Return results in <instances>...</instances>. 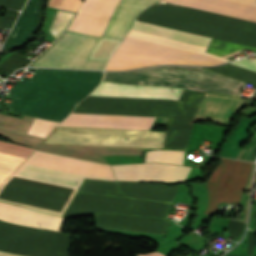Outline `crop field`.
<instances>
[{
    "instance_id": "1",
    "label": "crop field",
    "mask_w": 256,
    "mask_h": 256,
    "mask_svg": "<svg viewBox=\"0 0 256 256\" xmlns=\"http://www.w3.org/2000/svg\"><path fill=\"white\" fill-rule=\"evenodd\" d=\"M191 52L202 53L222 61H230L205 52L211 38L135 21L127 35ZM125 37L121 46L108 61L106 70H130L160 64L219 65L220 60L142 40Z\"/></svg>"
},
{
    "instance_id": "2",
    "label": "crop field",
    "mask_w": 256,
    "mask_h": 256,
    "mask_svg": "<svg viewBox=\"0 0 256 256\" xmlns=\"http://www.w3.org/2000/svg\"><path fill=\"white\" fill-rule=\"evenodd\" d=\"M103 72L42 69L22 80L9 95L10 111L61 121L100 82Z\"/></svg>"
},
{
    "instance_id": "3",
    "label": "crop field",
    "mask_w": 256,
    "mask_h": 256,
    "mask_svg": "<svg viewBox=\"0 0 256 256\" xmlns=\"http://www.w3.org/2000/svg\"><path fill=\"white\" fill-rule=\"evenodd\" d=\"M103 80L125 84L166 85L235 95L242 82L201 68L159 67L132 72L106 73Z\"/></svg>"
},
{
    "instance_id": "4",
    "label": "crop field",
    "mask_w": 256,
    "mask_h": 256,
    "mask_svg": "<svg viewBox=\"0 0 256 256\" xmlns=\"http://www.w3.org/2000/svg\"><path fill=\"white\" fill-rule=\"evenodd\" d=\"M12 175L76 189L84 178L114 181L110 166L38 151Z\"/></svg>"
},
{
    "instance_id": "5",
    "label": "crop field",
    "mask_w": 256,
    "mask_h": 256,
    "mask_svg": "<svg viewBox=\"0 0 256 256\" xmlns=\"http://www.w3.org/2000/svg\"><path fill=\"white\" fill-rule=\"evenodd\" d=\"M166 132L56 127L43 143L163 149Z\"/></svg>"
},
{
    "instance_id": "6",
    "label": "crop field",
    "mask_w": 256,
    "mask_h": 256,
    "mask_svg": "<svg viewBox=\"0 0 256 256\" xmlns=\"http://www.w3.org/2000/svg\"><path fill=\"white\" fill-rule=\"evenodd\" d=\"M70 235L0 221V251L25 256H69Z\"/></svg>"
},
{
    "instance_id": "7",
    "label": "crop field",
    "mask_w": 256,
    "mask_h": 256,
    "mask_svg": "<svg viewBox=\"0 0 256 256\" xmlns=\"http://www.w3.org/2000/svg\"><path fill=\"white\" fill-rule=\"evenodd\" d=\"M99 37L67 31L32 66L103 70L106 61L89 59Z\"/></svg>"
},
{
    "instance_id": "8",
    "label": "crop field",
    "mask_w": 256,
    "mask_h": 256,
    "mask_svg": "<svg viewBox=\"0 0 256 256\" xmlns=\"http://www.w3.org/2000/svg\"><path fill=\"white\" fill-rule=\"evenodd\" d=\"M253 163L221 158L207 183L209 204L205 214H214L221 205H238Z\"/></svg>"
},
{
    "instance_id": "9",
    "label": "crop field",
    "mask_w": 256,
    "mask_h": 256,
    "mask_svg": "<svg viewBox=\"0 0 256 256\" xmlns=\"http://www.w3.org/2000/svg\"><path fill=\"white\" fill-rule=\"evenodd\" d=\"M169 206L150 201L125 200L77 193L64 216L109 213L166 219Z\"/></svg>"
},
{
    "instance_id": "10",
    "label": "crop field",
    "mask_w": 256,
    "mask_h": 256,
    "mask_svg": "<svg viewBox=\"0 0 256 256\" xmlns=\"http://www.w3.org/2000/svg\"><path fill=\"white\" fill-rule=\"evenodd\" d=\"M117 180L184 181L191 168L168 164L111 165Z\"/></svg>"
},
{
    "instance_id": "11",
    "label": "crop field",
    "mask_w": 256,
    "mask_h": 256,
    "mask_svg": "<svg viewBox=\"0 0 256 256\" xmlns=\"http://www.w3.org/2000/svg\"><path fill=\"white\" fill-rule=\"evenodd\" d=\"M120 0H86L67 30L101 36Z\"/></svg>"
},
{
    "instance_id": "12",
    "label": "crop field",
    "mask_w": 256,
    "mask_h": 256,
    "mask_svg": "<svg viewBox=\"0 0 256 256\" xmlns=\"http://www.w3.org/2000/svg\"><path fill=\"white\" fill-rule=\"evenodd\" d=\"M155 118L71 113L59 126L149 130Z\"/></svg>"
},
{
    "instance_id": "13",
    "label": "crop field",
    "mask_w": 256,
    "mask_h": 256,
    "mask_svg": "<svg viewBox=\"0 0 256 256\" xmlns=\"http://www.w3.org/2000/svg\"><path fill=\"white\" fill-rule=\"evenodd\" d=\"M170 3H175L183 6H188L196 9H201L209 12H214L222 15L236 17L244 20L256 22V0H162Z\"/></svg>"
},
{
    "instance_id": "14",
    "label": "crop field",
    "mask_w": 256,
    "mask_h": 256,
    "mask_svg": "<svg viewBox=\"0 0 256 256\" xmlns=\"http://www.w3.org/2000/svg\"><path fill=\"white\" fill-rule=\"evenodd\" d=\"M174 92H171V91ZM182 89L133 86L102 81L91 95L121 96L152 99H178Z\"/></svg>"
},
{
    "instance_id": "15",
    "label": "crop field",
    "mask_w": 256,
    "mask_h": 256,
    "mask_svg": "<svg viewBox=\"0 0 256 256\" xmlns=\"http://www.w3.org/2000/svg\"><path fill=\"white\" fill-rule=\"evenodd\" d=\"M97 229H116L164 234L170 221L126 217L117 215H95Z\"/></svg>"
},
{
    "instance_id": "16",
    "label": "crop field",
    "mask_w": 256,
    "mask_h": 256,
    "mask_svg": "<svg viewBox=\"0 0 256 256\" xmlns=\"http://www.w3.org/2000/svg\"><path fill=\"white\" fill-rule=\"evenodd\" d=\"M39 150L106 163L101 155H142L143 149L42 144ZM107 164V163H106Z\"/></svg>"
},
{
    "instance_id": "17",
    "label": "crop field",
    "mask_w": 256,
    "mask_h": 256,
    "mask_svg": "<svg viewBox=\"0 0 256 256\" xmlns=\"http://www.w3.org/2000/svg\"><path fill=\"white\" fill-rule=\"evenodd\" d=\"M59 216L0 203V219L3 221L56 230Z\"/></svg>"
},
{
    "instance_id": "18",
    "label": "crop field",
    "mask_w": 256,
    "mask_h": 256,
    "mask_svg": "<svg viewBox=\"0 0 256 256\" xmlns=\"http://www.w3.org/2000/svg\"><path fill=\"white\" fill-rule=\"evenodd\" d=\"M158 0H122L103 37L123 39L133 20Z\"/></svg>"
},
{
    "instance_id": "19",
    "label": "crop field",
    "mask_w": 256,
    "mask_h": 256,
    "mask_svg": "<svg viewBox=\"0 0 256 256\" xmlns=\"http://www.w3.org/2000/svg\"><path fill=\"white\" fill-rule=\"evenodd\" d=\"M121 192L128 198L174 202L178 186L165 187L160 184L117 182Z\"/></svg>"
},
{
    "instance_id": "20",
    "label": "crop field",
    "mask_w": 256,
    "mask_h": 256,
    "mask_svg": "<svg viewBox=\"0 0 256 256\" xmlns=\"http://www.w3.org/2000/svg\"><path fill=\"white\" fill-rule=\"evenodd\" d=\"M39 3L40 0L28 1L1 51L22 44L35 30L38 21Z\"/></svg>"
},
{
    "instance_id": "21",
    "label": "crop field",
    "mask_w": 256,
    "mask_h": 256,
    "mask_svg": "<svg viewBox=\"0 0 256 256\" xmlns=\"http://www.w3.org/2000/svg\"><path fill=\"white\" fill-rule=\"evenodd\" d=\"M34 118L24 116L23 119L0 114V135L23 144L38 147L43 138L26 135Z\"/></svg>"
},
{
    "instance_id": "22",
    "label": "crop field",
    "mask_w": 256,
    "mask_h": 256,
    "mask_svg": "<svg viewBox=\"0 0 256 256\" xmlns=\"http://www.w3.org/2000/svg\"><path fill=\"white\" fill-rule=\"evenodd\" d=\"M79 192L123 197L115 182L85 179Z\"/></svg>"
},
{
    "instance_id": "23",
    "label": "crop field",
    "mask_w": 256,
    "mask_h": 256,
    "mask_svg": "<svg viewBox=\"0 0 256 256\" xmlns=\"http://www.w3.org/2000/svg\"><path fill=\"white\" fill-rule=\"evenodd\" d=\"M206 69L224 74L226 76L241 80L243 82L256 85V73L240 67L227 64L225 66H220L215 68H206Z\"/></svg>"
},
{
    "instance_id": "24",
    "label": "crop field",
    "mask_w": 256,
    "mask_h": 256,
    "mask_svg": "<svg viewBox=\"0 0 256 256\" xmlns=\"http://www.w3.org/2000/svg\"><path fill=\"white\" fill-rule=\"evenodd\" d=\"M216 44L218 45L217 47L215 46ZM245 47L249 48V49L256 50V48H254V47L245 46V45H241V44H237V43L228 42V41L213 38V40H212V42H211L207 51L211 52V53H214L216 55H219V56H223V55H226L228 53L234 52L236 50L243 49ZM236 54H239V52H236V53H233V54H230V55H226V56H223V57L227 58V57H230V56H233V55H236Z\"/></svg>"
},
{
    "instance_id": "25",
    "label": "crop field",
    "mask_w": 256,
    "mask_h": 256,
    "mask_svg": "<svg viewBox=\"0 0 256 256\" xmlns=\"http://www.w3.org/2000/svg\"><path fill=\"white\" fill-rule=\"evenodd\" d=\"M185 151H148L146 155L184 157ZM146 156V162L182 164L184 158Z\"/></svg>"
},
{
    "instance_id": "26",
    "label": "crop field",
    "mask_w": 256,
    "mask_h": 256,
    "mask_svg": "<svg viewBox=\"0 0 256 256\" xmlns=\"http://www.w3.org/2000/svg\"><path fill=\"white\" fill-rule=\"evenodd\" d=\"M120 42L121 40L117 39L101 38L91 58L108 59Z\"/></svg>"
},
{
    "instance_id": "27",
    "label": "crop field",
    "mask_w": 256,
    "mask_h": 256,
    "mask_svg": "<svg viewBox=\"0 0 256 256\" xmlns=\"http://www.w3.org/2000/svg\"><path fill=\"white\" fill-rule=\"evenodd\" d=\"M59 122L35 118L28 134L46 138Z\"/></svg>"
},
{
    "instance_id": "28",
    "label": "crop field",
    "mask_w": 256,
    "mask_h": 256,
    "mask_svg": "<svg viewBox=\"0 0 256 256\" xmlns=\"http://www.w3.org/2000/svg\"><path fill=\"white\" fill-rule=\"evenodd\" d=\"M73 16L74 14L72 13H68L60 10L58 11L55 17L54 23L49 30L55 36V38L63 32V30L70 23Z\"/></svg>"
},
{
    "instance_id": "29",
    "label": "crop field",
    "mask_w": 256,
    "mask_h": 256,
    "mask_svg": "<svg viewBox=\"0 0 256 256\" xmlns=\"http://www.w3.org/2000/svg\"><path fill=\"white\" fill-rule=\"evenodd\" d=\"M35 149L0 140V152L27 158Z\"/></svg>"
},
{
    "instance_id": "30",
    "label": "crop field",
    "mask_w": 256,
    "mask_h": 256,
    "mask_svg": "<svg viewBox=\"0 0 256 256\" xmlns=\"http://www.w3.org/2000/svg\"><path fill=\"white\" fill-rule=\"evenodd\" d=\"M81 3L82 0H50L49 6L77 12Z\"/></svg>"
},
{
    "instance_id": "31",
    "label": "crop field",
    "mask_w": 256,
    "mask_h": 256,
    "mask_svg": "<svg viewBox=\"0 0 256 256\" xmlns=\"http://www.w3.org/2000/svg\"><path fill=\"white\" fill-rule=\"evenodd\" d=\"M230 64L240 66V67H243V68H246V69H249V70H252V71L256 72V58L251 59V60L246 58V59H243L241 61L230 63Z\"/></svg>"
},
{
    "instance_id": "32",
    "label": "crop field",
    "mask_w": 256,
    "mask_h": 256,
    "mask_svg": "<svg viewBox=\"0 0 256 256\" xmlns=\"http://www.w3.org/2000/svg\"><path fill=\"white\" fill-rule=\"evenodd\" d=\"M0 256H18V255H12V254H7V253L0 252Z\"/></svg>"
},
{
    "instance_id": "33",
    "label": "crop field",
    "mask_w": 256,
    "mask_h": 256,
    "mask_svg": "<svg viewBox=\"0 0 256 256\" xmlns=\"http://www.w3.org/2000/svg\"><path fill=\"white\" fill-rule=\"evenodd\" d=\"M227 256H230V255H227Z\"/></svg>"
},
{
    "instance_id": "34",
    "label": "crop field",
    "mask_w": 256,
    "mask_h": 256,
    "mask_svg": "<svg viewBox=\"0 0 256 256\" xmlns=\"http://www.w3.org/2000/svg\"><path fill=\"white\" fill-rule=\"evenodd\" d=\"M255 185H256V183H255Z\"/></svg>"
}]
</instances>
